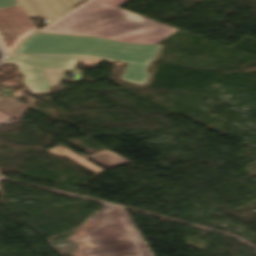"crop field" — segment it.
Returning <instances> with one entry per match:
<instances>
[{
	"mask_svg": "<svg viewBox=\"0 0 256 256\" xmlns=\"http://www.w3.org/2000/svg\"><path fill=\"white\" fill-rule=\"evenodd\" d=\"M177 30L103 2L89 0L38 32L156 44Z\"/></svg>",
	"mask_w": 256,
	"mask_h": 256,
	"instance_id": "8a807250",
	"label": "crop field"
},
{
	"mask_svg": "<svg viewBox=\"0 0 256 256\" xmlns=\"http://www.w3.org/2000/svg\"><path fill=\"white\" fill-rule=\"evenodd\" d=\"M161 45L125 44L101 37L67 36L35 33L23 40L14 53L40 55H82L128 63L120 80L145 85V72Z\"/></svg>",
	"mask_w": 256,
	"mask_h": 256,
	"instance_id": "ac0d7876",
	"label": "crop field"
},
{
	"mask_svg": "<svg viewBox=\"0 0 256 256\" xmlns=\"http://www.w3.org/2000/svg\"><path fill=\"white\" fill-rule=\"evenodd\" d=\"M101 214V224L86 229L88 237L80 243L92 242L99 247L83 246V252L96 256H153L124 209L106 205ZM128 222H125V221Z\"/></svg>",
	"mask_w": 256,
	"mask_h": 256,
	"instance_id": "34b2d1b8",
	"label": "crop field"
},
{
	"mask_svg": "<svg viewBox=\"0 0 256 256\" xmlns=\"http://www.w3.org/2000/svg\"><path fill=\"white\" fill-rule=\"evenodd\" d=\"M78 60L79 58L13 55L5 62L17 65L23 75L22 80L31 93L48 94L49 87L56 84L47 83L43 68L71 69Z\"/></svg>",
	"mask_w": 256,
	"mask_h": 256,
	"instance_id": "412701ff",
	"label": "crop field"
},
{
	"mask_svg": "<svg viewBox=\"0 0 256 256\" xmlns=\"http://www.w3.org/2000/svg\"><path fill=\"white\" fill-rule=\"evenodd\" d=\"M35 30L37 27L21 6L0 9V47L6 55L10 54L22 38Z\"/></svg>",
	"mask_w": 256,
	"mask_h": 256,
	"instance_id": "f4fd0767",
	"label": "crop field"
},
{
	"mask_svg": "<svg viewBox=\"0 0 256 256\" xmlns=\"http://www.w3.org/2000/svg\"><path fill=\"white\" fill-rule=\"evenodd\" d=\"M87 158L107 169H111L130 162L129 160L121 158V156L109 150H104L102 152L92 154L87 156Z\"/></svg>",
	"mask_w": 256,
	"mask_h": 256,
	"instance_id": "dd49c442",
	"label": "crop field"
},
{
	"mask_svg": "<svg viewBox=\"0 0 256 256\" xmlns=\"http://www.w3.org/2000/svg\"><path fill=\"white\" fill-rule=\"evenodd\" d=\"M0 110L20 121L22 116L28 110V107L6 97L0 100Z\"/></svg>",
	"mask_w": 256,
	"mask_h": 256,
	"instance_id": "e52e79f7",
	"label": "crop field"
},
{
	"mask_svg": "<svg viewBox=\"0 0 256 256\" xmlns=\"http://www.w3.org/2000/svg\"><path fill=\"white\" fill-rule=\"evenodd\" d=\"M49 152L57 155V156H65L66 158L78 163L79 165L87 168L88 170L96 173V174H100L101 172H103V170L97 168L96 166L92 165L91 163L85 161L84 159L80 158L79 156L73 154L72 152L68 151L67 149L59 146L56 147L54 149L48 150Z\"/></svg>",
	"mask_w": 256,
	"mask_h": 256,
	"instance_id": "d8731c3e",
	"label": "crop field"
},
{
	"mask_svg": "<svg viewBox=\"0 0 256 256\" xmlns=\"http://www.w3.org/2000/svg\"><path fill=\"white\" fill-rule=\"evenodd\" d=\"M27 13L29 18L43 16L48 24L52 23L47 16L41 11L33 0H16Z\"/></svg>",
	"mask_w": 256,
	"mask_h": 256,
	"instance_id": "5a996713",
	"label": "crop field"
},
{
	"mask_svg": "<svg viewBox=\"0 0 256 256\" xmlns=\"http://www.w3.org/2000/svg\"><path fill=\"white\" fill-rule=\"evenodd\" d=\"M50 1L63 16L87 0H50Z\"/></svg>",
	"mask_w": 256,
	"mask_h": 256,
	"instance_id": "3316defc",
	"label": "crop field"
},
{
	"mask_svg": "<svg viewBox=\"0 0 256 256\" xmlns=\"http://www.w3.org/2000/svg\"><path fill=\"white\" fill-rule=\"evenodd\" d=\"M19 4L15 0H0V8L18 6Z\"/></svg>",
	"mask_w": 256,
	"mask_h": 256,
	"instance_id": "28ad6ade",
	"label": "crop field"
},
{
	"mask_svg": "<svg viewBox=\"0 0 256 256\" xmlns=\"http://www.w3.org/2000/svg\"><path fill=\"white\" fill-rule=\"evenodd\" d=\"M100 1H103L108 4L119 7V6L123 5L124 3L128 2L129 0H100ZM200 1H202V0H200Z\"/></svg>",
	"mask_w": 256,
	"mask_h": 256,
	"instance_id": "d1516ede",
	"label": "crop field"
},
{
	"mask_svg": "<svg viewBox=\"0 0 256 256\" xmlns=\"http://www.w3.org/2000/svg\"><path fill=\"white\" fill-rule=\"evenodd\" d=\"M100 62L102 61H96V60L87 59V58H82L80 60V63H83V64L100 63Z\"/></svg>",
	"mask_w": 256,
	"mask_h": 256,
	"instance_id": "22f410ed",
	"label": "crop field"
},
{
	"mask_svg": "<svg viewBox=\"0 0 256 256\" xmlns=\"http://www.w3.org/2000/svg\"><path fill=\"white\" fill-rule=\"evenodd\" d=\"M9 118H11V117L8 116V115H6V114H4V113H2V112L0 111V121H5V120H7V119H9Z\"/></svg>",
	"mask_w": 256,
	"mask_h": 256,
	"instance_id": "cbeb9de0",
	"label": "crop field"
}]
</instances>
